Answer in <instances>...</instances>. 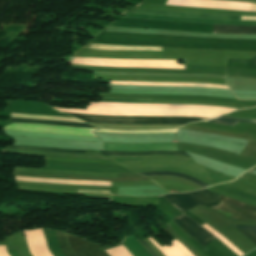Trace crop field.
<instances>
[{"instance_id": "obj_1", "label": "crop field", "mask_w": 256, "mask_h": 256, "mask_svg": "<svg viewBox=\"0 0 256 256\" xmlns=\"http://www.w3.org/2000/svg\"><path fill=\"white\" fill-rule=\"evenodd\" d=\"M171 203H173L182 212L201 204L205 207L216 205L218 203V195L206 189L201 191H193L190 193L168 194L164 195ZM191 238L197 241L203 247L208 245L212 240L216 239L200 225L183 214L173 219Z\"/></svg>"}, {"instance_id": "obj_2", "label": "crop field", "mask_w": 256, "mask_h": 256, "mask_svg": "<svg viewBox=\"0 0 256 256\" xmlns=\"http://www.w3.org/2000/svg\"><path fill=\"white\" fill-rule=\"evenodd\" d=\"M87 123L104 124H186L192 121L207 119L204 117H148V116H99L70 114Z\"/></svg>"}, {"instance_id": "obj_3", "label": "crop field", "mask_w": 256, "mask_h": 256, "mask_svg": "<svg viewBox=\"0 0 256 256\" xmlns=\"http://www.w3.org/2000/svg\"><path fill=\"white\" fill-rule=\"evenodd\" d=\"M152 19L229 25H256V21H241V16H224L199 13L154 10Z\"/></svg>"}, {"instance_id": "obj_4", "label": "crop field", "mask_w": 256, "mask_h": 256, "mask_svg": "<svg viewBox=\"0 0 256 256\" xmlns=\"http://www.w3.org/2000/svg\"><path fill=\"white\" fill-rule=\"evenodd\" d=\"M219 198L220 203L212 207L215 210L233 219L256 221V207L245 205L221 195Z\"/></svg>"}, {"instance_id": "obj_5", "label": "crop field", "mask_w": 256, "mask_h": 256, "mask_svg": "<svg viewBox=\"0 0 256 256\" xmlns=\"http://www.w3.org/2000/svg\"><path fill=\"white\" fill-rule=\"evenodd\" d=\"M70 248L76 256H108L100 245L66 233Z\"/></svg>"}, {"instance_id": "obj_6", "label": "crop field", "mask_w": 256, "mask_h": 256, "mask_svg": "<svg viewBox=\"0 0 256 256\" xmlns=\"http://www.w3.org/2000/svg\"><path fill=\"white\" fill-rule=\"evenodd\" d=\"M104 150L113 151H153V150H178L175 143L158 144H120L105 143Z\"/></svg>"}, {"instance_id": "obj_7", "label": "crop field", "mask_w": 256, "mask_h": 256, "mask_svg": "<svg viewBox=\"0 0 256 256\" xmlns=\"http://www.w3.org/2000/svg\"><path fill=\"white\" fill-rule=\"evenodd\" d=\"M213 33L256 34V27L214 25Z\"/></svg>"}, {"instance_id": "obj_8", "label": "crop field", "mask_w": 256, "mask_h": 256, "mask_svg": "<svg viewBox=\"0 0 256 256\" xmlns=\"http://www.w3.org/2000/svg\"><path fill=\"white\" fill-rule=\"evenodd\" d=\"M87 48H97L105 50H161L162 47H128V46H115V45H102V44H88Z\"/></svg>"}, {"instance_id": "obj_9", "label": "crop field", "mask_w": 256, "mask_h": 256, "mask_svg": "<svg viewBox=\"0 0 256 256\" xmlns=\"http://www.w3.org/2000/svg\"><path fill=\"white\" fill-rule=\"evenodd\" d=\"M9 121H12V122H29V123H39V124H51V125H68V126H76V127H92L88 124H81V123L44 121V120H30V119H18V118H9Z\"/></svg>"}, {"instance_id": "obj_10", "label": "crop field", "mask_w": 256, "mask_h": 256, "mask_svg": "<svg viewBox=\"0 0 256 256\" xmlns=\"http://www.w3.org/2000/svg\"><path fill=\"white\" fill-rule=\"evenodd\" d=\"M102 155H149V154H169V155H183L189 156L185 152H113V151H99ZM190 157V156H189Z\"/></svg>"}, {"instance_id": "obj_11", "label": "crop field", "mask_w": 256, "mask_h": 256, "mask_svg": "<svg viewBox=\"0 0 256 256\" xmlns=\"http://www.w3.org/2000/svg\"><path fill=\"white\" fill-rule=\"evenodd\" d=\"M205 122H211V123H217V124L233 126V125H235L238 122L256 123V120L235 119V118H230V117H225V116H219L217 118H213V119L207 120Z\"/></svg>"}, {"instance_id": "obj_12", "label": "crop field", "mask_w": 256, "mask_h": 256, "mask_svg": "<svg viewBox=\"0 0 256 256\" xmlns=\"http://www.w3.org/2000/svg\"><path fill=\"white\" fill-rule=\"evenodd\" d=\"M6 148L54 151V152H64V153H85V151H86V150H67V149H55V148H45V147H27V146H8Z\"/></svg>"}, {"instance_id": "obj_13", "label": "crop field", "mask_w": 256, "mask_h": 256, "mask_svg": "<svg viewBox=\"0 0 256 256\" xmlns=\"http://www.w3.org/2000/svg\"><path fill=\"white\" fill-rule=\"evenodd\" d=\"M55 233L56 236V240L58 243V246L61 250V252L64 254V256H75L69 249L66 239H65V235L62 233Z\"/></svg>"}, {"instance_id": "obj_14", "label": "crop field", "mask_w": 256, "mask_h": 256, "mask_svg": "<svg viewBox=\"0 0 256 256\" xmlns=\"http://www.w3.org/2000/svg\"><path fill=\"white\" fill-rule=\"evenodd\" d=\"M142 175H173V176H178V177H182V178H186L192 182H195L203 187H207L209 185L195 179V178H192L188 175H184V174H179V173H173V172H147V173H140Z\"/></svg>"}, {"instance_id": "obj_15", "label": "crop field", "mask_w": 256, "mask_h": 256, "mask_svg": "<svg viewBox=\"0 0 256 256\" xmlns=\"http://www.w3.org/2000/svg\"><path fill=\"white\" fill-rule=\"evenodd\" d=\"M103 102H122V103H153V100L147 99H108L102 98Z\"/></svg>"}, {"instance_id": "obj_16", "label": "crop field", "mask_w": 256, "mask_h": 256, "mask_svg": "<svg viewBox=\"0 0 256 256\" xmlns=\"http://www.w3.org/2000/svg\"><path fill=\"white\" fill-rule=\"evenodd\" d=\"M235 228H239V229H247L248 231H250L252 234H254L256 236V227H251V226H236V225H232Z\"/></svg>"}, {"instance_id": "obj_17", "label": "crop field", "mask_w": 256, "mask_h": 256, "mask_svg": "<svg viewBox=\"0 0 256 256\" xmlns=\"http://www.w3.org/2000/svg\"><path fill=\"white\" fill-rule=\"evenodd\" d=\"M238 231H240L242 234H244L246 237H248L250 240H252L256 244V237L252 235L250 232L245 230H238Z\"/></svg>"}, {"instance_id": "obj_18", "label": "crop field", "mask_w": 256, "mask_h": 256, "mask_svg": "<svg viewBox=\"0 0 256 256\" xmlns=\"http://www.w3.org/2000/svg\"><path fill=\"white\" fill-rule=\"evenodd\" d=\"M139 241V240H138ZM149 252H150V254L152 255V256H157L156 254H155V252L148 246V245H146L143 241H139Z\"/></svg>"}, {"instance_id": "obj_19", "label": "crop field", "mask_w": 256, "mask_h": 256, "mask_svg": "<svg viewBox=\"0 0 256 256\" xmlns=\"http://www.w3.org/2000/svg\"><path fill=\"white\" fill-rule=\"evenodd\" d=\"M11 254V256H19L16 251H12V252H9Z\"/></svg>"}, {"instance_id": "obj_20", "label": "crop field", "mask_w": 256, "mask_h": 256, "mask_svg": "<svg viewBox=\"0 0 256 256\" xmlns=\"http://www.w3.org/2000/svg\"><path fill=\"white\" fill-rule=\"evenodd\" d=\"M253 64H256V56H254Z\"/></svg>"}]
</instances>
